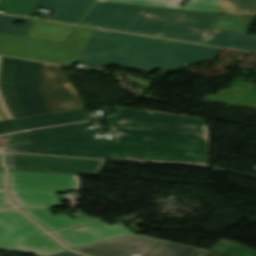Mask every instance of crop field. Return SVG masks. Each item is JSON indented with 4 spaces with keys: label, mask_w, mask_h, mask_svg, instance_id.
Listing matches in <instances>:
<instances>
[{
    "label": "crop field",
    "mask_w": 256,
    "mask_h": 256,
    "mask_svg": "<svg viewBox=\"0 0 256 256\" xmlns=\"http://www.w3.org/2000/svg\"><path fill=\"white\" fill-rule=\"evenodd\" d=\"M203 43L256 52V37L241 33L211 29Z\"/></svg>",
    "instance_id": "crop-field-15"
},
{
    "label": "crop field",
    "mask_w": 256,
    "mask_h": 256,
    "mask_svg": "<svg viewBox=\"0 0 256 256\" xmlns=\"http://www.w3.org/2000/svg\"><path fill=\"white\" fill-rule=\"evenodd\" d=\"M254 19L252 16L222 14L213 28L246 34Z\"/></svg>",
    "instance_id": "crop-field-17"
},
{
    "label": "crop field",
    "mask_w": 256,
    "mask_h": 256,
    "mask_svg": "<svg viewBox=\"0 0 256 256\" xmlns=\"http://www.w3.org/2000/svg\"><path fill=\"white\" fill-rule=\"evenodd\" d=\"M0 107H1L4 115L7 117L8 120L13 119L9 110H8V108H7V106H6V104H5V100H4L1 92H0Z\"/></svg>",
    "instance_id": "crop-field-27"
},
{
    "label": "crop field",
    "mask_w": 256,
    "mask_h": 256,
    "mask_svg": "<svg viewBox=\"0 0 256 256\" xmlns=\"http://www.w3.org/2000/svg\"><path fill=\"white\" fill-rule=\"evenodd\" d=\"M50 232L59 230L72 225L96 220L94 218L83 216L80 218H72L67 214L54 216L49 208H21Z\"/></svg>",
    "instance_id": "crop-field-14"
},
{
    "label": "crop field",
    "mask_w": 256,
    "mask_h": 256,
    "mask_svg": "<svg viewBox=\"0 0 256 256\" xmlns=\"http://www.w3.org/2000/svg\"><path fill=\"white\" fill-rule=\"evenodd\" d=\"M141 6L95 2L80 24L125 31Z\"/></svg>",
    "instance_id": "crop-field-11"
},
{
    "label": "crop field",
    "mask_w": 256,
    "mask_h": 256,
    "mask_svg": "<svg viewBox=\"0 0 256 256\" xmlns=\"http://www.w3.org/2000/svg\"><path fill=\"white\" fill-rule=\"evenodd\" d=\"M92 31L77 26L68 44L26 38L17 57L72 66L78 62Z\"/></svg>",
    "instance_id": "crop-field-8"
},
{
    "label": "crop field",
    "mask_w": 256,
    "mask_h": 256,
    "mask_svg": "<svg viewBox=\"0 0 256 256\" xmlns=\"http://www.w3.org/2000/svg\"><path fill=\"white\" fill-rule=\"evenodd\" d=\"M97 1L178 9L182 0H97Z\"/></svg>",
    "instance_id": "crop-field-20"
},
{
    "label": "crop field",
    "mask_w": 256,
    "mask_h": 256,
    "mask_svg": "<svg viewBox=\"0 0 256 256\" xmlns=\"http://www.w3.org/2000/svg\"><path fill=\"white\" fill-rule=\"evenodd\" d=\"M15 20L25 21L23 27L12 26ZM34 20L0 14V34H14L26 37Z\"/></svg>",
    "instance_id": "crop-field-19"
},
{
    "label": "crop field",
    "mask_w": 256,
    "mask_h": 256,
    "mask_svg": "<svg viewBox=\"0 0 256 256\" xmlns=\"http://www.w3.org/2000/svg\"><path fill=\"white\" fill-rule=\"evenodd\" d=\"M256 16V0H222L217 11L219 13L240 14Z\"/></svg>",
    "instance_id": "crop-field-18"
},
{
    "label": "crop field",
    "mask_w": 256,
    "mask_h": 256,
    "mask_svg": "<svg viewBox=\"0 0 256 256\" xmlns=\"http://www.w3.org/2000/svg\"><path fill=\"white\" fill-rule=\"evenodd\" d=\"M204 256H232L228 254H224L221 252H218L216 250L211 249L206 255ZM237 256H256V251L251 250L249 248H245L239 255Z\"/></svg>",
    "instance_id": "crop-field-25"
},
{
    "label": "crop field",
    "mask_w": 256,
    "mask_h": 256,
    "mask_svg": "<svg viewBox=\"0 0 256 256\" xmlns=\"http://www.w3.org/2000/svg\"><path fill=\"white\" fill-rule=\"evenodd\" d=\"M5 178V171H0V188L3 187ZM11 206L4 193H0V207Z\"/></svg>",
    "instance_id": "crop-field-26"
},
{
    "label": "crop field",
    "mask_w": 256,
    "mask_h": 256,
    "mask_svg": "<svg viewBox=\"0 0 256 256\" xmlns=\"http://www.w3.org/2000/svg\"><path fill=\"white\" fill-rule=\"evenodd\" d=\"M24 38L0 36V55L15 57Z\"/></svg>",
    "instance_id": "crop-field-22"
},
{
    "label": "crop field",
    "mask_w": 256,
    "mask_h": 256,
    "mask_svg": "<svg viewBox=\"0 0 256 256\" xmlns=\"http://www.w3.org/2000/svg\"><path fill=\"white\" fill-rule=\"evenodd\" d=\"M220 48L121 34L95 29L79 62L102 69L104 64L152 72L191 65L218 56Z\"/></svg>",
    "instance_id": "crop-field-2"
},
{
    "label": "crop field",
    "mask_w": 256,
    "mask_h": 256,
    "mask_svg": "<svg viewBox=\"0 0 256 256\" xmlns=\"http://www.w3.org/2000/svg\"><path fill=\"white\" fill-rule=\"evenodd\" d=\"M219 14L142 6L126 31L202 43Z\"/></svg>",
    "instance_id": "crop-field-4"
},
{
    "label": "crop field",
    "mask_w": 256,
    "mask_h": 256,
    "mask_svg": "<svg viewBox=\"0 0 256 256\" xmlns=\"http://www.w3.org/2000/svg\"><path fill=\"white\" fill-rule=\"evenodd\" d=\"M88 120L83 109L0 122V134Z\"/></svg>",
    "instance_id": "crop-field-12"
},
{
    "label": "crop field",
    "mask_w": 256,
    "mask_h": 256,
    "mask_svg": "<svg viewBox=\"0 0 256 256\" xmlns=\"http://www.w3.org/2000/svg\"><path fill=\"white\" fill-rule=\"evenodd\" d=\"M0 90L14 118L85 108L60 66L0 59Z\"/></svg>",
    "instance_id": "crop-field-3"
},
{
    "label": "crop field",
    "mask_w": 256,
    "mask_h": 256,
    "mask_svg": "<svg viewBox=\"0 0 256 256\" xmlns=\"http://www.w3.org/2000/svg\"><path fill=\"white\" fill-rule=\"evenodd\" d=\"M0 169H4L3 166L1 165V158H0Z\"/></svg>",
    "instance_id": "crop-field-29"
},
{
    "label": "crop field",
    "mask_w": 256,
    "mask_h": 256,
    "mask_svg": "<svg viewBox=\"0 0 256 256\" xmlns=\"http://www.w3.org/2000/svg\"><path fill=\"white\" fill-rule=\"evenodd\" d=\"M3 120L1 117H0V121Z\"/></svg>",
    "instance_id": "crop-field-31"
},
{
    "label": "crop field",
    "mask_w": 256,
    "mask_h": 256,
    "mask_svg": "<svg viewBox=\"0 0 256 256\" xmlns=\"http://www.w3.org/2000/svg\"><path fill=\"white\" fill-rule=\"evenodd\" d=\"M75 26L36 20L27 37L67 42Z\"/></svg>",
    "instance_id": "crop-field-16"
},
{
    "label": "crop field",
    "mask_w": 256,
    "mask_h": 256,
    "mask_svg": "<svg viewBox=\"0 0 256 256\" xmlns=\"http://www.w3.org/2000/svg\"><path fill=\"white\" fill-rule=\"evenodd\" d=\"M74 250L91 256H128L140 250H146L141 256H203L208 252L137 234Z\"/></svg>",
    "instance_id": "crop-field-7"
},
{
    "label": "crop field",
    "mask_w": 256,
    "mask_h": 256,
    "mask_svg": "<svg viewBox=\"0 0 256 256\" xmlns=\"http://www.w3.org/2000/svg\"><path fill=\"white\" fill-rule=\"evenodd\" d=\"M106 116L115 140L95 142L83 127L62 125L0 136L3 151L208 165L207 120L132 108Z\"/></svg>",
    "instance_id": "crop-field-1"
},
{
    "label": "crop field",
    "mask_w": 256,
    "mask_h": 256,
    "mask_svg": "<svg viewBox=\"0 0 256 256\" xmlns=\"http://www.w3.org/2000/svg\"><path fill=\"white\" fill-rule=\"evenodd\" d=\"M84 68H87V67H84ZM87 69H92V68H87ZM93 70H97V69H93Z\"/></svg>",
    "instance_id": "crop-field-30"
},
{
    "label": "crop field",
    "mask_w": 256,
    "mask_h": 256,
    "mask_svg": "<svg viewBox=\"0 0 256 256\" xmlns=\"http://www.w3.org/2000/svg\"><path fill=\"white\" fill-rule=\"evenodd\" d=\"M11 170L97 175L105 161L6 154Z\"/></svg>",
    "instance_id": "crop-field-9"
},
{
    "label": "crop field",
    "mask_w": 256,
    "mask_h": 256,
    "mask_svg": "<svg viewBox=\"0 0 256 256\" xmlns=\"http://www.w3.org/2000/svg\"><path fill=\"white\" fill-rule=\"evenodd\" d=\"M221 0H190L183 9L215 12Z\"/></svg>",
    "instance_id": "crop-field-23"
},
{
    "label": "crop field",
    "mask_w": 256,
    "mask_h": 256,
    "mask_svg": "<svg viewBox=\"0 0 256 256\" xmlns=\"http://www.w3.org/2000/svg\"><path fill=\"white\" fill-rule=\"evenodd\" d=\"M0 250L36 256L67 251L15 209H0Z\"/></svg>",
    "instance_id": "crop-field-6"
},
{
    "label": "crop field",
    "mask_w": 256,
    "mask_h": 256,
    "mask_svg": "<svg viewBox=\"0 0 256 256\" xmlns=\"http://www.w3.org/2000/svg\"><path fill=\"white\" fill-rule=\"evenodd\" d=\"M53 233L60 241L71 249L134 234L124 223L109 226L103 221L83 225Z\"/></svg>",
    "instance_id": "crop-field-10"
},
{
    "label": "crop field",
    "mask_w": 256,
    "mask_h": 256,
    "mask_svg": "<svg viewBox=\"0 0 256 256\" xmlns=\"http://www.w3.org/2000/svg\"><path fill=\"white\" fill-rule=\"evenodd\" d=\"M94 0H35L25 16L33 18L38 7L55 11L48 20L78 24Z\"/></svg>",
    "instance_id": "crop-field-13"
},
{
    "label": "crop field",
    "mask_w": 256,
    "mask_h": 256,
    "mask_svg": "<svg viewBox=\"0 0 256 256\" xmlns=\"http://www.w3.org/2000/svg\"><path fill=\"white\" fill-rule=\"evenodd\" d=\"M34 0H0V9L4 13L24 16Z\"/></svg>",
    "instance_id": "crop-field-21"
},
{
    "label": "crop field",
    "mask_w": 256,
    "mask_h": 256,
    "mask_svg": "<svg viewBox=\"0 0 256 256\" xmlns=\"http://www.w3.org/2000/svg\"><path fill=\"white\" fill-rule=\"evenodd\" d=\"M213 249H216L218 251L221 252H225V253H229V254H233V255H237L239 254L245 247L228 242V241H224L221 240L220 242H218L214 247H212Z\"/></svg>",
    "instance_id": "crop-field-24"
},
{
    "label": "crop field",
    "mask_w": 256,
    "mask_h": 256,
    "mask_svg": "<svg viewBox=\"0 0 256 256\" xmlns=\"http://www.w3.org/2000/svg\"><path fill=\"white\" fill-rule=\"evenodd\" d=\"M52 256H80L71 252H66V253H62V254H57V255H52Z\"/></svg>",
    "instance_id": "crop-field-28"
},
{
    "label": "crop field",
    "mask_w": 256,
    "mask_h": 256,
    "mask_svg": "<svg viewBox=\"0 0 256 256\" xmlns=\"http://www.w3.org/2000/svg\"><path fill=\"white\" fill-rule=\"evenodd\" d=\"M79 186L77 175L10 171L9 192L18 206H61L57 193Z\"/></svg>",
    "instance_id": "crop-field-5"
}]
</instances>
